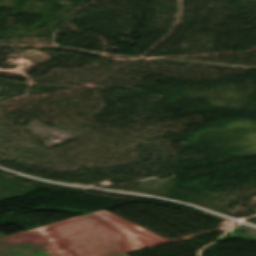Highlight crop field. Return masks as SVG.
Here are the masks:
<instances>
[{
	"mask_svg": "<svg viewBox=\"0 0 256 256\" xmlns=\"http://www.w3.org/2000/svg\"><path fill=\"white\" fill-rule=\"evenodd\" d=\"M120 256H127L126 254H124V255H120Z\"/></svg>",
	"mask_w": 256,
	"mask_h": 256,
	"instance_id": "obj_1",
	"label": "crop field"
},
{
	"mask_svg": "<svg viewBox=\"0 0 256 256\" xmlns=\"http://www.w3.org/2000/svg\"><path fill=\"white\" fill-rule=\"evenodd\" d=\"M2 236H4V235L0 234V237H2Z\"/></svg>",
	"mask_w": 256,
	"mask_h": 256,
	"instance_id": "obj_2",
	"label": "crop field"
}]
</instances>
